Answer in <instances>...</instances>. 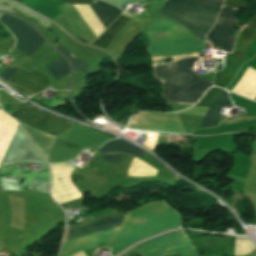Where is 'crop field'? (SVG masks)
Returning a JSON list of instances; mask_svg holds the SVG:
<instances>
[{"label":"crop field","mask_w":256,"mask_h":256,"mask_svg":"<svg viewBox=\"0 0 256 256\" xmlns=\"http://www.w3.org/2000/svg\"><path fill=\"white\" fill-rule=\"evenodd\" d=\"M182 228L180 214L164 200L132 210L122 222L109 247L119 254L138 241Z\"/></svg>","instance_id":"8a807250"},{"label":"crop field","mask_w":256,"mask_h":256,"mask_svg":"<svg viewBox=\"0 0 256 256\" xmlns=\"http://www.w3.org/2000/svg\"><path fill=\"white\" fill-rule=\"evenodd\" d=\"M194 60L198 61L200 58H186L175 63L154 66V76L164 85L165 100L192 105L212 84L192 74Z\"/></svg>","instance_id":"ac0d7876"},{"label":"crop field","mask_w":256,"mask_h":256,"mask_svg":"<svg viewBox=\"0 0 256 256\" xmlns=\"http://www.w3.org/2000/svg\"><path fill=\"white\" fill-rule=\"evenodd\" d=\"M151 56H174L205 52L206 43L185 27L162 16H155L147 28Z\"/></svg>","instance_id":"34b2d1b8"},{"label":"crop field","mask_w":256,"mask_h":256,"mask_svg":"<svg viewBox=\"0 0 256 256\" xmlns=\"http://www.w3.org/2000/svg\"><path fill=\"white\" fill-rule=\"evenodd\" d=\"M219 11V7L189 0H169L159 14L178 21L186 26L196 38L206 41L204 35L210 30Z\"/></svg>","instance_id":"412701ff"},{"label":"crop field","mask_w":256,"mask_h":256,"mask_svg":"<svg viewBox=\"0 0 256 256\" xmlns=\"http://www.w3.org/2000/svg\"><path fill=\"white\" fill-rule=\"evenodd\" d=\"M124 216L111 215L100 218L86 226L78 229L71 230L68 239H76L92 233L119 227ZM116 229L89 235L69 242H63L60 256H69L85 249H93L101 244H108L111 236L115 233ZM72 256H85L82 252Z\"/></svg>","instance_id":"f4fd0767"},{"label":"crop field","mask_w":256,"mask_h":256,"mask_svg":"<svg viewBox=\"0 0 256 256\" xmlns=\"http://www.w3.org/2000/svg\"><path fill=\"white\" fill-rule=\"evenodd\" d=\"M133 248L139 250L143 256H165L167 254L197 255L191 240L184 231L165 234Z\"/></svg>","instance_id":"dd49c442"},{"label":"crop field","mask_w":256,"mask_h":256,"mask_svg":"<svg viewBox=\"0 0 256 256\" xmlns=\"http://www.w3.org/2000/svg\"><path fill=\"white\" fill-rule=\"evenodd\" d=\"M255 33L256 16L251 18L248 22V25L241 30L236 45L234 47L233 54L227 53L225 69L216 74L215 85L222 88L227 86L228 82L232 79L237 69L239 68Z\"/></svg>","instance_id":"e52e79f7"},{"label":"crop field","mask_w":256,"mask_h":256,"mask_svg":"<svg viewBox=\"0 0 256 256\" xmlns=\"http://www.w3.org/2000/svg\"><path fill=\"white\" fill-rule=\"evenodd\" d=\"M235 10L224 6L215 26L208 33L206 39L212 44L213 49L231 53L235 41L232 33L236 23Z\"/></svg>","instance_id":"d8731c3e"},{"label":"crop field","mask_w":256,"mask_h":256,"mask_svg":"<svg viewBox=\"0 0 256 256\" xmlns=\"http://www.w3.org/2000/svg\"><path fill=\"white\" fill-rule=\"evenodd\" d=\"M10 114L18 117L26 124L49 134L60 136L71 125V123L51 117L33 107H18Z\"/></svg>","instance_id":"5a996713"},{"label":"crop field","mask_w":256,"mask_h":256,"mask_svg":"<svg viewBox=\"0 0 256 256\" xmlns=\"http://www.w3.org/2000/svg\"><path fill=\"white\" fill-rule=\"evenodd\" d=\"M20 162H40L45 163L42 156L36 152L30 142L24 136L21 128L18 126L11 144L0 164L8 165Z\"/></svg>","instance_id":"3316defc"},{"label":"crop field","mask_w":256,"mask_h":256,"mask_svg":"<svg viewBox=\"0 0 256 256\" xmlns=\"http://www.w3.org/2000/svg\"><path fill=\"white\" fill-rule=\"evenodd\" d=\"M0 21L12 30L18 38V50L27 56L44 41L31 27L11 16L3 15Z\"/></svg>","instance_id":"28ad6ade"},{"label":"crop field","mask_w":256,"mask_h":256,"mask_svg":"<svg viewBox=\"0 0 256 256\" xmlns=\"http://www.w3.org/2000/svg\"><path fill=\"white\" fill-rule=\"evenodd\" d=\"M7 84L32 95L49 86L50 81L44 75L36 71L27 72L19 68Z\"/></svg>","instance_id":"d1516ede"},{"label":"crop field","mask_w":256,"mask_h":256,"mask_svg":"<svg viewBox=\"0 0 256 256\" xmlns=\"http://www.w3.org/2000/svg\"><path fill=\"white\" fill-rule=\"evenodd\" d=\"M59 1L67 2V3H78V4H92L93 2V0H59ZM59 1L24 0L22 4L55 21L56 18L64 12L65 8L68 5L67 3H63Z\"/></svg>","instance_id":"22f410ed"},{"label":"crop field","mask_w":256,"mask_h":256,"mask_svg":"<svg viewBox=\"0 0 256 256\" xmlns=\"http://www.w3.org/2000/svg\"><path fill=\"white\" fill-rule=\"evenodd\" d=\"M232 104L228 98L227 92L224 90L219 94L217 99L209 108L208 112L206 113L204 120L202 122L201 127L199 128H207V127H216L219 119H220V111L226 105Z\"/></svg>","instance_id":"cbeb9de0"},{"label":"crop field","mask_w":256,"mask_h":256,"mask_svg":"<svg viewBox=\"0 0 256 256\" xmlns=\"http://www.w3.org/2000/svg\"><path fill=\"white\" fill-rule=\"evenodd\" d=\"M89 6L106 28L121 14L120 9L99 0H94Z\"/></svg>","instance_id":"5142ce71"},{"label":"crop field","mask_w":256,"mask_h":256,"mask_svg":"<svg viewBox=\"0 0 256 256\" xmlns=\"http://www.w3.org/2000/svg\"><path fill=\"white\" fill-rule=\"evenodd\" d=\"M125 15V14H122ZM118 17L102 34L101 36L93 42V45L106 49L107 45L114 38V36L119 32V30L128 21L129 17L125 16Z\"/></svg>","instance_id":"d9b57169"},{"label":"crop field","mask_w":256,"mask_h":256,"mask_svg":"<svg viewBox=\"0 0 256 256\" xmlns=\"http://www.w3.org/2000/svg\"><path fill=\"white\" fill-rule=\"evenodd\" d=\"M101 153H107V152H122L134 155L136 157H139L142 159L144 151L129 144L126 143L120 139L111 141L103 145L100 149Z\"/></svg>","instance_id":"733c2abd"},{"label":"crop field","mask_w":256,"mask_h":256,"mask_svg":"<svg viewBox=\"0 0 256 256\" xmlns=\"http://www.w3.org/2000/svg\"><path fill=\"white\" fill-rule=\"evenodd\" d=\"M45 66L51 72L56 81L70 75L68 64L62 57Z\"/></svg>","instance_id":"4a817a6b"},{"label":"crop field","mask_w":256,"mask_h":256,"mask_svg":"<svg viewBox=\"0 0 256 256\" xmlns=\"http://www.w3.org/2000/svg\"><path fill=\"white\" fill-rule=\"evenodd\" d=\"M58 48L61 49L68 57V59L70 60L74 71H88V67L87 65L81 61L76 59L69 51L67 48H65L63 45L58 44Z\"/></svg>","instance_id":"bc2a9ffb"},{"label":"crop field","mask_w":256,"mask_h":256,"mask_svg":"<svg viewBox=\"0 0 256 256\" xmlns=\"http://www.w3.org/2000/svg\"><path fill=\"white\" fill-rule=\"evenodd\" d=\"M221 91L222 89L219 88L209 89V91L205 94V96L200 100V102L196 106L210 107L212 102L215 100V98Z\"/></svg>","instance_id":"214f88e0"},{"label":"crop field","mask_w":256,"mask_h":256,"mask_svg":"<svg viewBox=\"0 0 256 256\" xmlns=\"http://www.w3.org/2000/svg\"><path fill=\"white\" fill-rule=\"evenodd\" d=\"M255 247L248 240L237 239L235 243L234 255L249 254Z\"/></svg>","instance_id":"92a150f3"},{"label":"crop field","mask_w":256,"mask_h":256,"mask_svg":"<svg viewBox=\"0 0 256 256\" xmlns=\"http://www.w3.org/2000/svg\"><path fill=\"white\" fill-rule=\"evenodd\" d=\"M0 185L2 189L6 190H20L16 177H2L0 178Z\"/></svg>","instance_id":"dafd665d"},{"label":"crop field","mask_w":256,"mask_h":256,"mask_svg":"<svg viewBox=\"0 0 256 256\" xmlns=\"http://www.w3.org/2000/svg\"><path fill=\"white\" fill-rule=\"evenodd\" d=\"M29 189L36 190V191H41V192H44V193H49L48 192V183H46V182H41V181L34 180L33 183H31Z\"/></svg>","instance_id":"00972430"},{"label":"crop field","mask_w":256,"mask_h":256,"mask_svg":"<svg viewBox=\"0 0 256 256\" xmlns=\"http://www.w3.org/2000/svg\"><path fill=\"white\" fill-rule=\"evenodd\" d=\"M249 0H225L224 5L236 7V8H246Z\"/></svg>","instance_id":"a9b5d70f"},{"label":"crop field","mask_w":256,"mask_h":256,"mask_svg":"<svg viewBox=\"0 0 256 256\" xmlns=\"http://www.w3.org/2000/svg\"><path fill=\"white\" fill-rule=\"evenodd\" d=\"M124 154H102L101 159L117 164Z\"/></svg>","instance_id":"4177f3b9"},{"label":"crop field","mask_w":256,"mask_h":256,"mask_svg":"<svg viewBox=\"0 0 256 256\" xmlns=\"http://www.w3.org/2000/svg\"><path fill=\"white\" fill-rule=\"evenodd\" d=\"M15 69H7L6 72H4L1 76L0 79H2L4 82H6L15 72Z\"/></svg>","instance_id":"730fd06b"},{"label":"crop field","mask_w":256,"mask_h":256,"mask_svg":"<svg viewBox=\"0 0 256 256\" xmlns=\"http://www.w3.org/2000/svg\"><path fill=\"white\" fill-rule=\"evenodd\" d=\"M196 1H201L204 3H208V4L219 6V7H222L223 5V0H196Z\"/></svg>","instance_id":"eef30255"}]
</instances>
